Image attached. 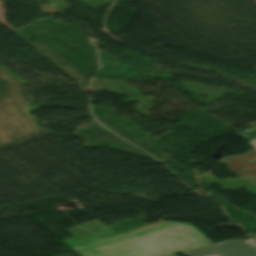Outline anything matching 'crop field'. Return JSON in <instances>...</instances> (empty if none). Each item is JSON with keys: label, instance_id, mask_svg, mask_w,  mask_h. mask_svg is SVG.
<instances>
[{"label": "crop field", "instance_id": "1", "mask_svg": "<svg viewBox=\"0 0 256 256\" xmlns=\"http://www.w3.org/2000/svg\"><path fill=\"white\" fill-rule=\"evenodd\" d=\"M209 244L190 224L162 222L72 248L82 256H171Z\"/></svg>", "mask_w": 256, "mask_h": 256}, {"label": "crop field", "instance_id": "2", "mask_svg": "<svg viewBox=\"0 0 256 256\" xmlns=\"http://www.w3.org/2000/svg\"><path fill=\"white\" fill-rule=\"evenodd\" d=\"M183 254L186 256H256V246L250 240H232Z\"/></svg>", "mask_w": 256, "mask_h": 256}, {"label": "crop field", "instance_id": "3", "mask_svg": "<svg viewBox=\"0 0 256 256\" xmlns=\"http://www.w3.org/2000/svg\"><path fill=\"white\" fill-rule=\"evenodd\" d=\"M222 163L240 176L256 174V150H250L246 155L224 159Z\"/></svg>", "mask_w": 256, "mask_h": 256}, {"label": "crop field", "instance_id": "4", "mask_svg": "<svg viewBox=\"0 0 256 256\" xmlns=\"http://www.w3.org/2000/svg\"><path fill=\"white\" fill-rule=\"evenodd\" d=\"M246 142L256 149V139L250 140V141H246Z\"/></svg>", "mask_w": 256, "mask_h": 256}, {"label": "crop field", "instance_id": "5", "mask_svg": "<svg viewBox=\"0 0 256 256\" xmlns=\"http://www.w3.org/2000/svg\"><path fill=\"white\" fill-rule=\"evenodd\" d=\"M255 242H256V238L255 239H253Z\"/></svg>", "mask_w": 256, "mask_h": 256}, {"label": "crop field", "instance_id": "6", "mask_svg": "<svg viewBox=\"0 0 256 256\" xmlns=\"http://www.w3.org/2000/svg\"><path fill=\"white\" fill-rule=\"evenodd\" d=\"M174 256H176V255H174Z\"/></svg>", "mask_w": 256, "mask_h": 256}]
</instances>
